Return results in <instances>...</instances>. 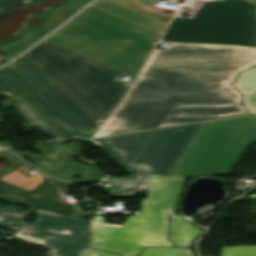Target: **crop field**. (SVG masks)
<instances>
[{"label":"crop field","mask_w":256,"mask_h":256,"mask_svg":"<svg viewBox=\"0 0 256 256\" xmlns=\"http://www.w3.org/2000/svg\"><path fill=\"white\" fill-rule=\"evenodd\" d=\"M254 64L251 48L168 43L95 137L248 113L231 84Z\"/></svg>","instance_id":"crop-field-1"},{"label":"crop field","mask_w":256,"mask_h":256,"mask_svg":"<svg viewBox=\"0 0 256 256\" xmlns=\"http://www.w3.org/2000/svg\"><path fill=\"white\" fill-rule=\"evenodd\" d=\"M23 56L101 123L129 87L124 73L47 40Z\"/></svg>","instance_id":"crop-field-2"},{"label":"crop field","mask_w":256,"mask_h":256,"mask_svg":"<svg viewBox=\"0 0 256 256\" xmlns=\"http://www.w3.org/2000/svg\"><path fill=\"white\" fill-rule=\"evenodd\" d=\"M149 197L141 216H129L123 225L106 224L104 215L90 219L94 239L89 247L126 256H138L145 247H175L168 239L167 213H173L184 176H144Z\"/></svg>","instance_id":"crop-field-3"},{"label":"crop field","mask_w":256,"mask_h":256,"mask_svg":"<svg viewBox=\"0 0 256 256\" xmlns=\"http://www.w3.org/2000/svg\"><path fill=\"white\" fill-rule=\"evenodd\" d=\"M205 123L90 140L129 174H171Z\"/></svg>","instance_id":"crop-field-4"},{"label":"crop field","mask_w":256,"mask_h":256,"mask_svg":"<svg viewBox=\"0 0 256 256\" xmlns=\"http://www.w3.org/2000/svg\"><path fill=\"white\" fill-rule=\"evenodd\" d=\"M256 7L244 1L211 0L194 19L174 18L162 41L256 47Z\"/></svg>","instance_id":"crop-field-5"},{"label":"crop field","mask_w":256,"mask_h":256,"mask_svg":"<svg viewBox=\"0 0 256 256\" xmlns=\"http://www.w3.org/2000/svg\"><path fill=\"white\" fill-rule=\"evenodd\" d=\"M254 141L256 119L251 116L207 122L174 174H229Z\"/></svg>","instance_id":"crop-field-6"},{"label":"crop field","mask_w":256,"mask_h":256,"mask_svg":"<svg viewBox=\"0 0 256 256\" xmlns=\"http://www.w3.org/2000/svg\"><path fill=\"white\" fill-rule=\"evenodd\" d=\"M47 40L66 47L132 77L150 49L72 20Z\"/></svg>","instance_id":"crop-field-7"},{"label":"crop field","mask_w":256,"mask_h":256,"mask_svg":"<svg viewBox=\"0 0 256 256\" xmlns=\"http://www.w3.org/2000/svg\"><path fill=\"white\" fill-rule=\"evenodd\" d=\"M44 90L22 96L61 136L90 138L101 125L23 56L15 62Z\"/></svg>","instance_id":"crop-field-8"},{"label":"crop field","mask_w":256,"mask_h":256,"mask_svg":"<svg viewBox=\"0 0 256 256\" xmlns=\"http://www.w3.org/2000/svg\"><path fill=\"white\" fill-rule=\"evenodd\" d=\"M28 212L31 210L0 204V226L21 228L20 235L45 240L41 245L52 248L45 256H77L93 239L86 218H59L37 212V220L27 223L23 220Z\"/></svg>","instance_id":"crop-field-9"},{"label":"crop field","mask_w":256,"mask_h":256,"mask_svg":"<svg viewBox=\"0 0 256 256\" xmlns=\"http://www.w3.org/2000/svg\"><path fill=\"white\" fill-rule=\"evenodd\" d=\"M74 20L153 49L166 24L113 3L99 0Z\"/></svg>","instance_id":"crop-field-10"},{"label":"crop field","mask_w":256,"mask_h":256,"mask_svg":"<svg viewBox=\"0 0 256 256\" xmlns=\"http://www.w3.org/2000/svg\"><path fill=\"white\" fill-rule=\"evenodd\" d=\"M0 199L11 203H22L31 206L30 209L60 217H73L72 208L53 200L36 195L23 188L0 180Z\"/></svg>","instance_id":"crop-field-11"},{"label":"crop field","mask_w":256,"mask_h":256,"mask_svg":"<svg viewBox=\"0 0 256 256\" xmlns=\"http://www.w3.org/2000/svg\"><path fill=\"white\" fill-rule=\"evenodd\" d=\"M40 89L13 63L0 69V95L20 96Z\"/></svg>","instance_id":"crop-field-12"},{"label":"crop field","mask_w":256,"mask_h":256,"mask_svg":"<svg viewBox=\"0 0 256 256\" xmlns=\"http://www.w3.org/2000/svg\"><path fill=\"white\" fill-rule=\"evenodd\" d=\"M86 172V165L74 161L73 156L62 152L57 162L46 175L74 183L79 180L75 179L74 176L83 178Z\"/></svg>","instance_id":"crop-field-13"},{"label":"crop field","mask_w":256,"mask_h":256,"mask_svg":"<svg viewBox=\"0 0 256 256\" xmlns=\"http://www.w3.org/2000/svg\"><path fill=\"white\" fill-rule=\"evenodd\" d=\"M202 233L203 231L183 218L170 214V239L177 247H190L193 240Z\"/></svg>","instance_id":"crop-field-14"},{"label":"crop field","mask_w":256,"mask_h":256,"mask_svg":"<svg viewBox=\"0 0 256 256\" xmlns=\"http://www.w3.org/2000/svg\"><path fill=\"white\" fill-rule=\"evenodd\" d=\"M234 86L244 94L243 103L249 112H256V66L239 75Z\"/></svg>","instance_id":"crop-field-15"},{"label":"crop field","mask_w":256,"mask_h":256,"mask_svg":"<svg viewBox=\"0 0 256 256\" xmlns=\"http://www.w3.org/2000/svg\"><path fill=\"white\" fill-rule=\"evenodd\" d=\"M101 181L113 185L107 189L113 196H134L136 192L146 190L145 182L141 175L140 179L136 180L121 179L107 175Z\"/></svg>","instance_id":"crop-field-16"},{"label":"crop field","mask_w":256,"mask_h":256,"mask_svg":"<svg viewBox=\"0 0 256 256\" xmlns=\"http://www.w3.org/2000/svg\"><path fill=\"white\" fill-rule=\"evenodd\" d=\"M32 149H35L41 153H43L40 156H37L29 151H24L22 153L9 148L10 150L14 151L16 154L20 156H26L34 161L32 163L33 166H35L38 170L42 171L43 173L47 172L49 168L52 166V164L55 162V160L60 155V151L57 149H54L52 147L46 146L44 144H37Z\"/></svg>","instance_id":"crop-field-17"},{"label":"crop field","mask_w":256,"mask_h":256,"mask_svg":"<svg viewBox=\"0 0 256 256\" xmlns=\"http://www.w3.org/2000/svg\"><path fill=\"white\" fill-rule=\"evenodd\" d=\"M7 104L14 106L18 112L28 120L24 123V126L27 128V130L36 127L51 137L59 139L58 135L20 98L4 103V105Z\"/></svg>","instance_id":"crop-field-18"},{"label":"crop field","mask_w":256,"mask_h":256,"mask_svg":"<svg viewBox=\"0 0 256 256\" xmlns=\"http://www.w3.org/2000/svg\"><path fill=\"white\" fill-rule=\"evenodd\" d=\"M78 256H119L86 247ZM139 256H193L186 248H145Z\"/></svg>","instance_id":"crop-field-19"},{"label":"crop field","mask_w":256,"mask_h":256,"mask_svg":"<svg viewBox=\"0 0 256 256\" xmlns=\"http://www.w3.org/2000/svg\"><path fill=\"white\" fill-rule=\"evenodd\" d=\"M35 42H37V41H35L31 38L24 37L20 41H17L13 44L7 45V46H5L3 48H0V49L8 57H10L12 59V58L16 57L18 54H20L21 52H23L24 50H26L31 45H33Z\"/></svg>","instance_id":"crop-field-20"},{"label":"crop field","mask_w":256,"mask_h":256,"mask_svg":"<svg viewBox=\"0 0 256 256\" xmlns=\"http://www.w3.org/2000/svg\"><path fill=\"white\" fill-rule=\"evenodd\" d=\"M222 256H256V246L222 247Z\"/></svg>","instance_id":"crop-field-21"},{"label":"crop field","mask_w":256,"mask_h":256,"mask_svg":"<svg viewBox=\"0 0 256 256\" xmlns=\"http://www.w3.org/2000/svg\"><path fill=\"white\" fill-rule=\"evenodd\" d=\"M105 175L107 174L101 172L95 166L89 167L88 175L81 182L93 183L96 180H100Z\"/></svg>","instance_id":"crop-field-22"},{"label":"crop field","mask_w":256,"mask_h":256,"mask_svg":"<svg viewBox=\"0 0 256 256\" xmlns=\"http://www.w3.org/2000/svg\"><path fill=\"white\" fill-rule=\"evenodd\" d=\"M15 239H19V240L30 242V243L37 244V245H40L43 242L42 240L24 237V236H20V235H17L15 237Z\"/></svg>","instance_id":"crop-field-23"},{"label":"crop field","mask_w":256,"mask_h":256,"mask_svg":"<svg viewBox=\"0 0 256 256\" xmlns=\"http://www.w3.org/2000/svg\"><path fill=\"white\" fill-rule=\"evenodd\" d=\"M22 1H26V0H0V9L8 5H11L17 2H22Z\"/></svg>","instance_id":"crop-field-24"},{"label":"crop field","mask_w":256,"mask_h":256,"mask_svg":"<svg viewBox=\"0 0 256 256\" xmlns=\"http://www.w3.org/2000/svg\"><path fill=\"white\" fill-rule=\"evenodd\" d=\"M248 1H250L252 4L256 5V0H248Z\"/></svg>","instance_id":"crop-field-25"},{"label":"crop field","mask_w":256,"mask_h":256,"mask_svg":"<svg viewBox=\"0 0 256 256\" xmlns=\"http://www.w3.org/2000/svg\"><path fill=\"white\" fill-rule=\"evenodd\" d=\"M3 151H5L4 149H2V148H0V152H3Z\"/></svg>","instance_id":"crop-field-26"},{"label":"crop field","mask_w":256,"mask_h":256,"mask_svg":"<svg viewBox=\"0 0 256 256\" xmlns=\"http://www.w3.org/2000/svg\"><path fill=\"white\" fill-rule=\"evenodd\" d=\"M254 118H256V115H253Z\"/></svg>","instance_id":"crop-field-27"}]
</instances>
